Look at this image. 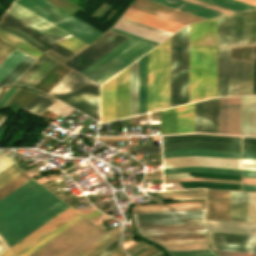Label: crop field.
Instances as JSON below:
<instances>
[{
    "label": "crop field",
    "instance_id": "55",
    "mask_svg": "<svg viewBox=\"0 0 256 256\" xmlns=\"http://www.w3.org/2000/svg\"><path fill=\"white\" fill-rule=\"evenodd\" d=\"M242 177L256 178V171L242 170Z\"/></svg>",
    "mask_w": 256,
    "mask_h": 256
},
{
    "label": "crop field",
    "instance_id": "53",
    "mask_svg": "<svg viewBox=\"0 0 256 256\" xmlns=\"http://www.w3.org/2000/svg\"><path fill=\"white\" fill-rule=\"evenodd\" d=\"M110 30H113V31H116V32H119V33H122V34H125V35H128V36L134 37L136 39H139V40H142V41L154 44V45H158V43H155V42H152V41H149V40H146V39H143V38H140V37H137V36H134V35H131V34L116 30V29H113V28H111Z\"/></svg>",
    "mask_w": 256,
    "mask_h": 256
},
{
    "label": "crop field",
    "instance_id": "21",
    "mask_svg": "<svg viewBox=\"0 0 256 256\" xmlns=\"http://www.w3.org/2000/svg\"><path fill=\"white\" fill-rule=\"evenodd\" d=\"M123 17L129 18L144 24H148L172 33L176 32L178 29L184 26L183 24H180L171 20H167L143 11L130 8V7L124 13Z\"/></svg>",
    "mask_w": 256,
    "mask_h": 256
},
{
    "label": "crop field",
    "instance_id": "40",
    "mask_svg": "<svg viewBox=\"0 0 256 256\" xmlns=\"http://www.w3.org/2000/svg\"><path fill=\"white\" fill-rule=\"evenodd\" d=\"M163 171H164V173L188 172V171H203V172H218V173L240 174V170L218 169V168H203V167L171 168V169H163Z\"/></svg>",
    "mask_w": 256,
    "mask_h": 256
},
{
    "label": "crop field",
    "instance_id": "61",
    "mask_svg": "<svg viewBox=\"0 0 256 256\" xmlns=\"http://www.w3.org/2000/svg\"><path fill=\"white\" fill-rule=\"evenodd\" d=\"M242 190L256 191V186H253V185H242Z\"/></svg>",
    "mask_w": 256,
    "mask_h": 256
},
{
    "label": "crop field",
    "instance_id": "27",
    "mask_svg": "<svg viewBox=\"0 0 256 256\" xmlns=\"http://www.w3.org/2000/svg\"><path fill=\"white\" fill-rule=\"evenodd\" d=\"M205 19L226 15L182 0H150Z\"/></svg>",
    "mask_w": 256,
    "mask_h": 256
},
{
    "label": "crop field",
    "instance_id": "66",
    "mask_svg": "<svg viewBox=\"0 0 256 256\" xmlns=\"http://www.w3.org/2000/svg\"><path fill=\"white\" fill-rule=\"evenodd\" d=\"M9 89V87L4 88L3 92L0 95V100L2 99V97L4 96V94L6 93V91Z\"/></svg>",
    "mask_w": 256,
    "mask_h": 256
},
{
    "label": "crop field",
    "instance_id": "13",
    "mask_svg": "<svg viewBox=\"0 0 256 256\" xmlns=\"http://www.w3.org/2000/svg\"><path fill=\"white\" fill-rule=\"evenodd\" d=\"M203 166L240 169V159L190 156L163 159V168Z\"/></svg>",
    "mask_w": 256,
    "mask_h": 256
},
{
    "label": "crop field",
    "instance_id": "7",
    "mask_svg": "<svg viewBox=\"0 0 256 256\" xmlns=\"http://www.w3.org/2000/svg\"><path fill=\"white\" fill-rule=\"evenodd\" d=\"M5 13L11 15L12 17L18 19L19 21L39 31L40 33L48 36L49 38L55 40L56 42L71 36L65 31L59 29L58 27L43 20L42 18L36 16L35 14L29 12L28 10L22 8L21 6L15 3H13L12 7L9 10H7ZM58 43L62 44L63 46L69 48L70 50L76 53L88 45L76 39L73 36L65 40H62Z\"/></svg>",
    "mask_w": 256,
    "mask_h": 256
},
{
    "label": "crop field",
    "instance_id": "33",
    "mask_svg": "<svg viewBox=\"0 0 256 256\" xmlns=\"http://www.w3.org/2000/svg\"><path fill=\"white\" fill-rule=\"evenodd\" d=\"M147 55L139 59V114L146 112Z\"/></svg>",
    "mask_w": 256,
    "mask_h": 256
},
{
    "label": "crop field",
    "instance_id": "36",
    "mask_svg": "<svg viewBox=\"0 0 256 256\" xmlns=\"http://www.w3.org/2000/svg\"><path fill=\"white\" fill-rule=\"evenodd\" d=\"M176 133V107L161 111V134Z\"/></svg>",
    "mask_w": 256,
    "mask_h": 256
},
{
    "label": "crop field",
    "instance_id": "57",
    "mask_svg": "<svg viewBox=\"0 0 256 256\" xmlns=\"http://www.w3.org/2000/svg\"><path fill=\"white\" fill-rule=\"evenodd\" d=\"M102 213H100L99 211L95 210V211H92V212H89L87 214H84V216L88 219L92 218V217H95L97 215H100Z\"/></svg>",
    "mask_w": 256,
    "mask_h": 256
},
{
    "label": "crop field",
    "instance_id": "22",
    "mask_svg": "<svg viewBox=\"0 0 256 256\" xmlns=\"http://www.w3.org/2000/svg\"><path fill=\"white\" fill-rule=\"evenodd\" d=\"M56 63L42 55L15 83L33 87Z\"/></svg>",
    "mask_w": 256,
    "mask_h": 256
},
{
    "label": "crop field",
    "instance_id": "41",
    "mask_svg": "<svg viewBox=\"0 0 256 256\" xmlns=\"http://www.w3.org/2000/svg\"><path fill=\"white\" fill-rule=\"evenodd\" d=\"M29 179L31 178H29L27 175L23 173L14 180H12L10 183H8L7 185L0 189V199L11 193L13 190L24 184Z\"/></svg>",
    "mask_w": 256,
    "mask_h": 256
},
{
    "label": "crop field",
    "instance_id": "23",
    "mask_svg": "<svg viewBox=\"0 0 256 256\" xmlns=\"http://www.w3.org/2000/svg\"><path fill=\"white\" fill-rule=\"evenodd\" d=\"M196 209H205V200L179 202V203H171V204L134 205L132 208V213L196 210Z\"/></svg>",
    "mask_w": 256,
    "mask_h": 256
},
{
    "label": "crop field",
    "instance_id": "5",
    "mask_svg": "<svg viewBox=\"0 0 256 256\" xmlns=\"http://www.w3.org/2000/svg\"><path fill=\"white\" fill-rule=\"evenodd\" d=\"M189 25L171 36L170 107L188 103Z\"/></svg>",
    "mask_w": 256,
    "mask_h": 256
},
{
    "label": "crop field",
    "instance_id": "68",
    "mask_svg": "<svg viewBox=\"0 0 256 256\" xmlns=\"http://www.w3.org/2000/svg\"><path fill=\"white\" fill-rule=\"evenodd\" d=\"M145 245V244H144ZM144 245H142V246H140L139 248H137V249H135V250H133L132 252H130V253H128V254H133L134 252H136L137 250H139L141 247H143Z\"/></svg>",
    "mask_w": 256,
    "mask_h": 256
},
{
    "label": "crop field",
    "instance_id": "20",
    "mask_svg": "<svg viewBox=\"0 0 256 256\" xmlns=\"http://www.w3.org/2000/svg\"><path fill=\"white\" fill-rule=\"evenodd\" d=\"M207 219L230 220V192L207 190Z\"/></svg>",
    "mask_w": 256,
    "mask_h": 256
},
{
    "label": "crop field",
    "instance_id": "6",
    "mask_svg": "<svg viewBox=\"0 0 256 256\" xmlns=\"http://www.w3.org/2000/svg\"><path fill=\"white\" fill-rule=\"evenodd\" d=\"M14 2L88 44L102 34L44 0H15Z\"/></svg>",
    "mask_w": 256,
    "mask_h": 256
},
{
    "label": "crop field",
    "instance_id": "17",
    "mask_svg": "<svg viewBox=\"0 0 256 256\" xmlns=\"http://www.w3.org/2000/svg\"><path fill=\"white\" fill-rule=\"evenodd\" d=\"M76 212L72 208H67L65 211L57 215L55 218L47 222L45 225L37 229L35 232L27 236L25 239L17 243L15 246L10 248L14 253V256H17L19 253L27 249L29 246L34 244L36 241L44 237L46 234L51 232L53 229L61 225L63 222L75 215Z\"/></svg>",
    "mask_w": 256,
    "mask_h": 256
},
{
    "label": "crop field",
    "instance_id": "34",
    "mask_svg": "<svg viewBox=\"0 0 256 256\" xmlns=\"http://www.w3.org/2000/svg\"><path fill=\"white\" fill-rule=\"evenodd\" d=\"M190 155L240 158V153H233V152H218V151H203V150L163 152V158L179 157V156H190Z\"/></svg>",
    "mask_w": 256,
    "mask_h": 256
},
{
    "label": "crop field",
    "instance_id": "2",
    "mask_svg": "<svg viewBox=\"0 0 256 256\" xmlns=\"http://www.w3.org/2000/svg\"><path fill=\"white\" fill-rule=\"evenodd\" d=\"M217 18L190 25L189 103L216 96Z\"/></svg>",
    "mask_w": 256,
    "mask_h": 256
},
{
    "label": "crop field",
    "instance_id": "39",
    "mask_svg": "<svg viewBox=\"0 0 256 256\" xmlns=\"http://www.w3.org/2000/svg\"><path fill=\"white\" fill-rule=\"evenodd\" d=\"M25 56L22 52L14 50L1 64H0V80Z\"/></svg>",
    "mask_w": 256,
    "mask_h": 256
},
{
    "label": "crop field",
    "instance_id": "15",
    "mask_svg": "<svg viewBox=\"0 0 256 256\" xmlns=\"http://www.w3.org/2000/svg\"><path fill=\"white\" fill-rule=\"evenodd\" d=\"M252 63L231 59L230 96L251 95Z\"/></svg>",
    "mask_w": 256,
    "mask_h": 256
},
{
    "label": "crop field",
    "instance_id": "59",
    "mask_svg": "<svg viewBox=\"0 0 256 256\" xmlns=\"http://www.w3.org/2000/svg\"><path fill=\"white\" fill-rule=\"evenodd\" d=\"M242 159H253V160H256V154L242 153Z\"/></svg>",
    "mask_w": 256,
    "mask_h": 256
},
{
    "label": "crop field",
    "instance_id": "51",
    "mask_svg": "<svg viewBox=\"0 0 256 256\" xmlns=\"http://www.w3.org/2000/svg\"><path fill=\"white\" fill-rule=\"evenodd\" d=\"M140 154L160 153V147H139Z\"/></svg>",
    "mask_w": 256,
    "mask_h": 256
},
{
    "label": "crop field",
    "instance_id": "64",
    "mask_svg": "<svg viewBox=\"0 0 256 256\" xmlns=\"http://www.w3.org/2000/svg\"><path fill=\"white\" fill-rule=\"evenodd\" d=\"M240 1H243V2H247V3H250V4L256 5V0H240Z\"/></svg>",
    "mask_w": 256,
    "mask_h": 256
},
{
    "label": "crop field",
    "instance_id": "1",
    "mask_svg": "<svg viewBox=\"0 0 256 256\" xmlns=\"http://www.w3.org/2000/svg\"><path fill=\"white\" fill-rule=\"evenodd\" d=\"M67 207L31 179L0 200V235L10 248Z\"/></svg>",
    "mask_w": 256,
    "mask_h": 256
},
{
    "label": "crop field",
    "instance_id": "25",
    "mask_svg": "<svg viewBox=\"0 0 256 256\" xmlns=\"http://www.w3.org/2000/svg\"><path fill=\"white\" fill-rule=\"evenodd\" d=\"M115 119V77L101 85V122Z\"/></svg>",
    "mask_w": 256,
    "mask_h": 256
},
{
    "label": "crop field",
    "instance_id": "26",
    "mask_svg": "<svg viewBox=\"0 0 256 256\" xmlns=\"http://www.w3.org/2000/svg\"><path fill=\"white\" fill-rule=\"evenodd\" d=\"M209 232L256 235V224L207 220Z\"/></svg>",
    "mask_w": 256,
    "mask_h": 256
},
{
    "label": "crop field",
    "instance_id": "54",
    "mask_svg": "<svg viewBox=\"0 0 256 256\" xmlns=\"http://www.w3.org/2000/svg\"><path fill=\"white\" fill-rule=\"evenodd\" d=\"M242 144L256 145V138L242 137Z\"/></svg>",
    "mask_w": 256,
    "mask_h": 256
},
{
    "label": "crop field",
    "instance_id": "31",
    "mask_svg": "<svg viewBox=\"0 0 256 256\" xmlns=\"http://www.w3.org/2000/svg\"><path fill=\"white\" fill-rule=\"evenodd\" d=\"M138 114V61L130 65L129 116Z\"/></svg>",
    "mask_w": 256,
    "mask_h": 256
},
{
    "label": "crop field",
    "instance_id": "65",
    "mask_svg": "<svg viewBox=\"0 0 256 256\" xmlns=\"http://www.w3.org/2000/svg\"><path fill=\"white\" fill-rule=\"evenodd\" d=\"M144 179H162L161 176H151V177H145Z\"/></svg>",
    "mask_w": 256,
    "mask_h": 256
},
{
    "label": "crop field",
    "instance_id": "49",
    "mask_svg": "<svg viewBox=\"0 0 256 256\" xmlns=\"http://www.w3.org/2000/svg\"><path fill=\"white\" fill-rule=\"evenodd\" d=\"M186 1H189V2H192V3H195V4H199V5H202V6H205V7H208V8L226 13V14L234 13V12H231V11H228V10H225V9H222V8H218V7H215V6H212V5L197 1V0H186Z\"/></svg>",
    "mask_w": 256,
    "mask_h": 256
},
{
    "label": "crop field",
    "instance_id": "63",
    "mask_svg": "<svg viewBox=\"0 0 256 256\" xmlns=\"http://www.w3.org/2000/svg\"><path fill=\"white\" fill-rule=\"evenodd\" d=\"M6 251V250H5ZM1 256H13L10 250L8 249L6 252H4Z\"/></svg>",
    "mask_w": 256,
    "mask_h": 256
},
{
    "label": "crop field",
    "instance_id": "11",
    "mask_svg": "<svg viewBox=\"0 0 256 256\" xmlns=\"http://www.w3.org/2000/svg\"><path fill=\"white\" fill-rule=\"evenodd\" d=\"M205 210L133 214L136 226L205 222Z\"/></svg>",
    "mask_w": 256,
    "mask_h": 256
},
{
    "label": "crop field",
    "instance_id": "4",
    "mask_svg": "<svg viewBox=\"0 0 256 256\" xmlns=\"http://www.w3.org/2000/svg\"><path fill=\"white\" fill-rule=\"evenodd\" d=\"M153 47L155 46L129 38L80 74L101 84Z\"/></svg>",
    "mask_w": 256,
    "mask_h": 256
},
{
    "label": "crop field",
    "instance_id": "69",
    "mask_svg": "<svg viewBox=\"0 0 256 256\" xmlns=\"http://www.w3.org/2000/svg\"><path fill=\"white\" fill-rule=\"evenodd\" d=\"M160 252L159 250H157L156 252H154L153 254L149 255V256H153L155 255L156 253Z\"/></svg>",
    "mask_w": 256,
    "mask_h": 256
},
{
    "label": "crop field",
    "instance_id": "24",
    "mask_svg": "<svg viewBox=\"0 0 256 256\" xmlns=\"http://www.w3.org/2000/svg\"><path fill=\"white\" fill-rule=\"evenodd\" d=\"M129 67L116 75V119L128 116Z\"/></svg>",
    "mask_w": 256,
    "mask_h": 256
},
{
    "label": "crop field",
    "instance_id": "62",
    "mask_svg": "<svg viewBox=\"0 0 256 256\" xmlns=\"http://www.w3.org/2000/svg\"><path fill=\"white\" fill-rule=\"evenodd\" d=\"M7 246L4 244V242L1 240L0 238V255L5 251L7 250Z\"/></svg>",
    "mask_w": 256,
    "mask_h": 256
},
{
    "label": "crop field",
    "instance_id": "19",
    "mask_svg": "<svg viewBox=\"0 0 256 256\" xmlns=\"http://www.w3.org/2000/svg\"><path fill=\"white\" fill-rule=\"evenodd\" d=\"M155 42H162L169 37L172 33L147 26L126 18L121 17L117 24L113 27Z\"/></svg>",
    "mask_w": 256,
    "mask_h": 256
},
{
    "label": "crop field",
    "instance_id": "56",
    "mask_svg": "<svg viewBox=\"0 0 256 256\" xmlns=\"http://www.w3.org/2000/svg\"><path fill=\"white\" fill-rule=\"evenodd\" d=\"M117 238H119V234L117 236H115L112 240H110L109 242H107L105 245H103L102 247H100L99 249H97L96 251H94L92 254H90L89 256H93L94 254H96L97 252H99L100 250H102L104 247H106L107 245H109L110 243H112L114 240H116Z\"/></svg>",
    "mask_w": 256,
    "mask_h": 256
},
{
    "label": "crop field",
    "instance_id": "60",
    "mask_svg": "<svg viewBox=\"0 0 256 256\" xmlns=\"http://www.w3.org/2000/svg\"><path fill=\"white\" fill-rule=\"evenodd\" d=\"M108 256H126L120 248H118L117 250H115L113 253H111Z\"/></svg>",
    "mask_w": 256,
    "mask_h": 256
},
{
    "label": "crop field",
    "instance_id": "38",
    "mask_svg": "<svg viewBox=\"0 0 256 256\" xmlns=\"http://www.w3.org/2000/svg\"><path fill=\"white\" fill-rule=\"evenodd\" d=\"M0 39L4 40L5 42L23 50L24 52L30 54L31 56L38 58L43 53L37 51L36 49L30 47L29 45L23 43L22 41L16 39L15 37L9 35L8 33L2 31L0 29Z\"/></svg>",
    "mask_w": 256,
    "mask_h": 256
},
{
    "label": "crop field",
    "instance_id": "45",
    "mask_svg": "<svg viewBox=\"0 0 256 256\" xmlns=\"http://www.w3.org/2000/svg\"><path fill=\"white\" fill-rule=\"evenodd\" d=\"M48 110L56 113V114H61L63 116H67L69 113H71L74 109L66 106L65 104L59 102V101H55L49 108ZM70 115V114H69Z\"/></svg>",
    "mask_w": 256,
    "mask_h": 256
},
{
    "label": "crop field",
    "instance_id": "50",
    "mask_svg": "<svg viewBox=\"0 0 256 256\" xmlns=\"http://www.w3.org/2000/svg\"><path fill=\"white\" fill-rule=\"evenodd\" d=\"M221 256H256V253H239V252H223L216 251Z\"/></svg>",
    "mask_w": 256,
    "mask_h": 256
},
{
    "label": "crop field",
    "instance_id": "58",
    "mask_svg": "<svg viewBox=\"0 0 256 256\" xmlns=\"http://www.w3.org/2000/svg\"><path fill=\"white\" fill-rule=\"evenodd\" d=\"M242 184H253V185H256V179L242 178Z\"/></svg>",
    "mask_w": 256,
    "mask_h": 256
},
{
    "label": "crop field",
    "instance_id": "37",
    "mask_svg": "<svg viewBox=\"0 0 256 256\" xmlns=\"http://www.w3.org/2000/svg\"><path fill=\"white\" fill-rule=\"evenodd\" d=\"M234 12L256 8V6L243 3L237 0H201Z\"/></svg>",
    "mask_w": 256,
    "mask_h": 256
},
{
    "label": "crop field",
    "instance_id": "67",
    "mask_svg": "<svg viewBox=\"0 0 256 256\" xmlns=\"http://www.w3.org/2000/svg\"><path fill=\"white\" fill-rule=\"evenodd\" d=\"M18 90V88L16 89V91ZM16 91L11 95V97L16 93ZM11 97L5 102V104L2 106L1 110L3 109V107L7 104V102L11 99Z\"/></svg>",
    "mask_w": 256,
    "mask_h": 256
},
{
    "label": "crop field",
    "instance_id": "12",
    "mask_svg": "<svg viewBox=\"0 0 256 256\" xmlns=\"http://www.w3.org/2000/svg\"><path fill=\"white\" fill-rule=\"evenodd\" d=\"M256 44V10L232 15V46Z\"/></svg>",
    "mask_w": 256,
    "mask_h": 256
},
{
    "label": "crop field",
    "instance_id": "8",
    "mask_svg": "<svg viewBox=\"0 0 256 256\" xmlns=\"http://www.w3.org/2000/svg\"><path fill=\"white\" fill-rule=\"evenodd\" d=\"M97 229L83 217L29 256H60Z\"/></svg>",
    "mask_w": 256,
    "mask_h": 256
},
{
    "label": "crop field",
    "instance_id": "44",
    "mask_svg": "<svg viewBox=\"0 0 256 256\" xmlns=\"http://www.w3.org/2000/svg\"><path fill=\"white\" fill-rule=\"evenodd\" d=\"M172 256H216L211 250H192L170 252Z\"/></svg>",
    "mask_w": 256,
    "mask_h": 256
},
{
    "label": "crop field",
    "instance_id": "42",
    "mask_svg": "<svg viewBox=\"0 0 256 256\" xmlns=\"http://www.w3.org/2000/svg\"><path fill=\"white\" fill-rule=\"evenodd\" d=\"M110 239L111 238L105 234L74 256H87L88 254L93 252L95 249H97L98 247H100L101 245H103L105 242H107Z\"/></svg>",
    "mask_w": 256,
    "mask_h": 256
},
{
    "label": "crop field",
    "instance_id": "3",
    "mask_svg": "<svg viewBox=\"0 0 256 256\" xmlns=\"http://www.w3.org/2000/svg\"><path fill=\"white\" fill-rule=\"evenodd\" d=\"M170 38L148 53L147 112L169 107Z\"/></svg>",
    "mask_w": 256,
    "mask_h": 256
},
{
    "label": "crop field",
    "instance_id": "32",
    "mask_svg": "<svg viewBox=\"0 0 256 256\" xmlns=\"http://www.w3.org/2000/svg\"><path fill=\"white\" fill-rule=\"evenodd\" d=\"M155 194L173 201L189 200V199H205L204 189H189V190H175V191H161L155 192Z\"/></svg>",
    "mask_w": 256,
    "mask_h": 256
},
{
    "label": "crop field",
    "instance_id": "35",
    "mask_svg": "<svg viewBox=\"0 0 256 256\" xmlns=\"http://www.w3.org/2000/svg\"><path fill=\"white\" fill-rule=\"evenodd\" d=\"M81 217H83V216L80 215L79 213L76 214L74 217H72L71 219H69L68 221H66L64 224H62L61 226H59L58 228H56L54 231H52L51 233H49L47 236H45L44 238H42L41 240H39L37 243H35V244L32 245L31 247H29L27 250H25L24 252H22V253L19 254L18 256H28L29 254H31L32 252H34L36 249H38L39 247H41L43 244H45L46 242H48L50 239H52L53 237H55L56 235H58L60 232H62L63 230H65L67 227H69L70 225H72L74 222H76L77 220H79Z\"/></svg>",
    "mask_w": 256,
    "mask_h": 256
},
{
    "label": "crop field",
    "instance_id": "47",
    "mask_svg": "<svg viewBox=\"0 0 256 256\" xmlns=\"http://www.w3.org/2000/svg\"><path fill=\"white\" fill-rule=\"evenodd\" d=\"M5 150L0 151V172L5 170L7 167H9L11 164H13V161L11 159V152L9 154H4ZM12 166V165H11Z\"/></svg>",
    "mask_w": 256,
    "mask_h": 256
},
{
    "label": "crop field",
    "instance_id": "30",
    "mask_svg": "<svg viewBox=\"0 0 256 256\" xmlns=\"http://www.w3.org/2000/svg\"><path fill=\"white\" fill-rule=\"evenodd\" d=\"M231 220L247 222V193L231 192Z\"/></svg>",
    "mask_w": 256,
    "mask_h": 256
},
{
    "label": "crop field",
    "instance_id": "29",
    "mask_svg": "<svg viewBox=\"0 0 256 256\" xmlns=\"http://www.w3.org/2000/svg\"><path fill=\"white\" fill-rule=\"evenodd\" d=\"M187 141H203V142L240 144V138H233V137H218V136H203V135L162 137V143L187 142Z\"/></svg>",
    "mask_w": 256,
    "mask_h": 256
},
{
    "label": "crop field",
    "instance_id": "10",
    "mask_svg": "<svg viewBox=\"0 0 256 256\" xmlns=\"http://www.w3.org/2000/svg\"><path fill=\"white\" fill-rule=\"evenodd\" d=\"M127 38L108 31L93 45L81 51L63 65L79 73Z\"/></svg>",
    "mask_w": 256,
    "mask_h": 256
},
{
    "label": "crop field",
    "instance_id": "28",
    "mask_svg": "<svg viewBox=\"0 0 256 256\" xmlns=\"http://www.w3.org/2000/svg\"><path fill=\"white\" fill-rule=\"evenodd\" d=\"M194 132V103L177 107V133Z\"/></svg>",
    "mask_w": 256,
    "mask_h": 256
},
{
    "label": "crop field",
    "instance_id": "18",
    "mask_svg": "<svg viewBox=\"0 0 256 256\" xmlns=\"http://www.w3.org/2000/svg\"><path fill=\"white\" fill-rule=\"evenodd\" d=\"M130 7L140 9L184 24L204 20L202 18L171 9L147 0H136Z\"/></svg>",
    "mask_w": 256,
    "mask_h": 256
},
{
    "label": "crop field",
    "instance_id": "70",
    "mask_svg": "<svg viewBox=\"0 0 256 256\" xmlns=\"http://www.w3.org/2000/svg\"><path fill=\"white\" fill-rule=\"evenodd\" d=\"M1 89V88H0Z\"/></svg>",
    "mask_w": 256,
    "mask_h": 256
},
{
    "label": "crop field",
    "instance_id": "16",
    "mask_svg": "<svg viewBox=\"0 0 256 256\" xmlns=\"http://www.w3.org/2000/svg\"><path fill=\"white\" fill-rule=\"evenodd\" d=\"M240 97L220 98V133L239 135Z\"/></svg>",
    "mask_w": 256,
    "mask_h": 256
},
{
    "label": "crop field",
    "instance_id": "46",
    "mask_svg": "<svg viewBox=\"0 0 256 256\" xmlns=\"http://www.w3.org/2000/svg\"><path fill=\"white\" fill-rule=\"evenodd\" d=\"M190 180H201V181H212V182H224V183H235V184H240V181H233V180H218V179H203V178L171 179V180H164V183H169V182H180V181H190Z\"/></svg>",
    "mask_w": 256,
    "mask_h": 256
},
{
    "label": "crop field",
    "instance_id": "52",
    "mask_svg": "<svg viewBox=\"0 0 256 256\" xmlns=\"http://www.w3.org/2000/svg\"><path fill=\"white\" fill-rule=\"evenodd\" d=\"M242 169L256 170V161L242 160Z\"/></svg>",
    "mask_w": 256,
    "mask_h": 256
},
{
    "label": "crop field",
    "instance_id": "48",
    "mask_svg": "<svg viewBox=\"0 0 256 256\" xmlns=\"http://www.w3.org/2000/svg\"><path fill=\"white\" fill-rule=\"evenodd\" d=\"M15 48L5 44L0 49V63L14 50Z\"/></svg>",
    "mask_w": 256,
    "mask_h": 256
},
{
    "label": "crop field",
    "instance_id": "43",
    "mask_svg": "<svg viewBox=\"0 0 256 256\" xmlns=\"http://www.w3.org/2000/svg\"><path fill=\"white\" fill-rule=\"evenodd\" d=\"M22 172L16 168V166H12L10 169L5 171L0 175V188L7 184L9 181L20 175Z\"/></svg>",
    "mask_w": 256,
    "mask_h": 256
},
{
    "label": "crop field",
    "instance_id": "14",
    "mask_svg": "<svg viewBox=\"0 0 256 256\" xmlns=\"http://www.w3.org/2000/svg\"><path fill=\"white\" fill-rule=\"evenodd\" d=\"M214 250L256 252V236L209 233Z\"/></svg>",
    "mask_w": 256,
    "mask_h": 256
},
{
    "label": "crop field",
    "instance_id": "9",
    "mask_svg": "<svg viewBox=\"0 0 256 256\" xmlns=\"http://www.w3.org/2000/svg\"><path fill=\"white\" fill-rule=\"evenodd\" d=\"M0 28L44 53L51 49L67 59L75 54L7 14H4Z\"/></svg>",
    "mask_w": 256,
    "mask_h": 256
}]
</instances>
